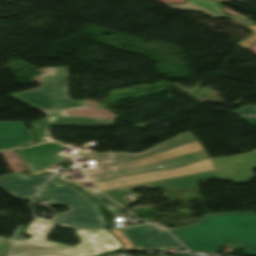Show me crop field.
Returning a JSON list of instances; mask_svg holds the SVG:
<instances>
[{
  "label": "crop field",
  "instance_id": "obj_3",
  "mask_svg": "<svg viewBox=\"0 0 256 256\" xmlns=\"http://www.w3.org/2000/svg\"><path fill=\"white\" fill-rule=\"evenodd\" d=\"M43 84L37 89L10 96L27 103L47 115L35 122L33 127L40 138L39 143L52 141L46 131L48 126H110L114 120L66 117L63 111L86 107L83 101L70 100L67 92V67L54 68L42 76Z\"/></svg>",
  "mask_w": 256,
  "mask_h": 256
},
{
  "label": "crop field",
  "instance_id": "obj_14",
  "mask_svg": "<svg viewBox=\"0 0 256 256\" xmlns=\"http://www.w3.org/2000/svg\"><path fill=\"white\" fill-rule=\"evenodd\" d=\"M111 230L117 236V238L124 244V249L134 248L121 229H111Z\"/></svg>",
  "mask_w": 256,
  "mask_h": 256
},
{
  "label": "crop field",
  "instance_id": "obj_8",
  "mask_svg": "<svg viewBox=\"0 0 256 256\" xmlns=\"http://www.w3.org/2000/svg\"><path fill=\"white\" fill-rule=\"evenodd\" d=\"M50 176L44 175L35 179H27L20 172L8 173L0 176V188L12 194L15 198L30 200Z\"/></svg>",
  "mask_w": 256,
  "mask_h": 256
},
{
  "label": "crop field",
  "instance_id": "obj_11",
  "mask_svg": "<svg viewBox=\"0 0 256 256\" xmlns=\"http://www.w3.org/2000/svg\"><path fill=\"white\" fill-rule=\"evenodd\" d=\"M59 178L62 179V180H65V179H63V175L59 176ZM65 181H67V182H69V183H71V184H74V185H76V186H78V187H80V188H82V189L88 191L92 197H94V198H96L98 201H100L101 204H103V205H104L108 210H110L113 214H115V215H117V216H123V213H122V211H121L120 206L116 205L114 202H112V201H111L110 199H108L107 197H105V196H103V195L97 193V192H96V187H94V188H92V189H85V188L79 186V184H77V183H73V182L68 181V180H65Z\"/></svg>",
  "mask_w": 256,
  "mask_h": 256
},
{
  "label": "crop field",
  "instance_id": "obj_6",
  "mask_svg": "<svg viewBox=\"0 0 256 256\" xmlns=\"http://www.w3.org/2000/svg\"><path fill=\"white\" fill-rule=\"evenodd\" d=\"M137 250H164V248L185 249L164 228L150 224L137 225L122 229Z\"/></svg>",
  "mask_w": 256,
  "mask_h": 256
},
{
  "label": "crop field",
  "instance_id": "obj_4",
  "mask_svg": "<svg viewBox=\"0 0 256 256\" xmlns=\"http://www.w3.org/2000/svg\"><path fill=\"white\" fill-rule=\"evenodd\" d=\"M55 226L35 217L24 231L32 238L15 240L10 256H93L121 247L107 229H76L81 244L74 247L44 240Z\"/></svg>",
  "mask_w": 256,
  "mask_h": 256
},
{
  "label": "crop field",
  "instance_id": "obj_16",
  "mask_svg": "<svg viewBox=\"0 0 256 256\" xmlns=\"http://www.w3.org/2000/svg\"><path fill=\"white\" fill-rule=\"evenodd\" d=\"M213 3H215V4L219 5V6H222V5H220V4H218V3L214 2V1H213Z\"/></svg>",
  "mask_w": 256,
  "mask_h": 256
},
{
  "label": "crop field",
  "instance_id": "obj_9",
  "mask_svg": "<svg viewBox=\"0 0 256 256\" xmlns=\"http://www.w3.org/2000/svg\"><path fill=\"white\" fill-rule=\"evenodd\" d=\"M30 136L22 128L21 122H0V150L31 142Z\"/></svg>",
  "mask_w": 256,
  "mask_h": 256
},
{
  "label": "crop field",
  "instance_id": "obj_15",
  "mask_svg": "<svg viewBox=\"0 0 256 256\" xmlns=\"http://www.w3.org/2000/svg\"><path fill=\"white\" fill-rule=\"evenodd\" d=\"M10 246V241L0 238V256H5Z\"/></svg>",
  "mask_w": 256,
  "mask_h": 256
},
{
  "label": "crop field",
  "instance_id": "obj_12",
  "mask_svg": "<svg viewBox=\"0 0 256 256\" xmlns=\"http://www.w3.org/2000/svg\"><path fill=\"white\" fill-rule=\"evenodd\" d=\"M233 112L239 114L242 118L248 120L252 124L256 123V106H244Z\"/></svg>",
  "mask_w": 256,
  "mask_h": 256
},
{
  "label": "crop field",
  "instance_id": "obj_5",
  "mask_svg": "<svg viewBox=\"0 0 256 256\" xmlns=\"http://www.w3.org/2000/svg\"><path fill=\"white\" fill-rule=\"evenodd\" d=\"M35 198L51 199L50 205H67L69 212L57 213L51 222L63 227L103 228L102 219L96 203L86 198L74 187L58 179L47 181L43 190Z\"/></svg>",
  "mask_w": 256,
  "mask_h": 256
},
{
  "label": "crop field",
  "instance_id": "obj_1",
  "mask_svg": "<svg viewBox=\"0 0 256 256\" xmlns=\"http://www.w3.org/2000/svg\"><path fill=\"white\" fill-rule=\"evenodd\" d=\"M96 161L98 170L84 171L100 192L121 204L122 195L142 186L196 189V182L218 178L245 182L256 167V151L209 159L190 132L179 135L139 154L82 153Z\"/></svg>",
  "mask_w": 256,
  "mask_h": 256
},
{
  "label": "crop field",
  "instance_id": "obj_13",
  "mask_svg": "<svg viewBox=\"0 0 256 256\" xmlns=\"http://www.w3.org/2000/svg\"><path fill=\"white\" fill-rule=\"evenodd\" d=\"M246 28L252 30L254 33L251 36H249L247 40H243L237 43L238 45L243 46L245 48L251 46L253 43L256 42V25L255 26L250 25Z\"/></svg>",
  "mask_w": 256,
  "mask_h": 256
},
{
  "label": "crop field",
  "instance_id": "obj_10",
  "mask_svg": "<svg viewBox=\"0 0 256 256\" xmlns=\"http://www.w3.org/2000/svg\"><path fill=\"white\" fill-rule=\"evenodd\" d=\"M212 0H189L185 4H166L171 8H184V9H194V10H200L212 17H229L222 13V10L220 7L214 5L211 3Z\"/></svg>",
  "mask_w": 256,
  "mask_h": 256
},
{
  "label": "crop field",
  "instance_id": "obj_7",
  "mask_svg": "<svg viewBox=\"0 0 256 256\" xmlns=\"http://www.w3.org/2000/svg\"><path fill=\"white\" fill-rule=\"evenodd\" d=\"M63 146L57 143H46L37 147L25 148L20 152L23 161L27 162L33 169H51L63 161H71V158L57 156Z\"/></svg>",
  "mask_w": 256,
  "mask_h": 256
},
{
  "label": "crop field",
  "instance_id": "obj_2",
  "mask_svg": "<svg viewBox=\"0 0 256 256\" xmlns=\"http://www.w3.org/2000/svg\"><path fill=\"white\" fill-rule=\"evenodd\" d=\"M168 230L192 251L217 254L225 242L256 255V213H214L199 223Z\"/></svg>",
  "mask_w": 256,
  "mask_h": 256
}]
</instances>
